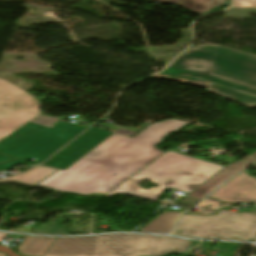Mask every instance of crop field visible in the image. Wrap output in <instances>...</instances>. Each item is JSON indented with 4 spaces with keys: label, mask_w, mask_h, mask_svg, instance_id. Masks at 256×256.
<instances>
[{
    "label": "crop field",
    "mask_w": 256,
    "mask_h": 256,
    "mask_svg": "<svg viewBox=\"0 0 256 256\" xmlns=\"http://www.w3.org/2000/svg\"><path fill=\"white\" fill-rule=\"evenodd\" d=\"M186 124L179 120L154 123L132 139L114 133L77 163L38 185L84 195L107 194L164 154L154 146Z\"/></svg>",
    "instance_id": "1"
},
{
    "label": "crop field",
    "mask_w": 256,
    "mask_h": 256,
    "mask_svg": "<svg viewBox=\"0 0 256 256\" xmlns=\"http://www.w3.org/2000/svg\"><path fill=\"white\" fill-rule=\"evenodd\" d=\"M222 168L224 167L168 151L106 196L124 193L156 201L168 187L189 193ZM143 179H150L153 184L160 186L146 191L137 186Z\"/></svg>",
    "instance_id": "2"
},
{
    "label": "crop field",
    "mask_w": 256,
    "mask_h": 256,
    "mask_svg": "<svg viewBox=\"0 0 256 256\" xmlns=\"http://www.w3.org/2000/svg\"><path fill=\"white\" fill-rule=\"evenodd\" d=\"M191 241L170 237L114 234L57 238L43 256H162L186 253Z\"/></svg>",
    "instance_id": "3"
},
{
    "label": "crop field",
    "mask_w": 256,
    "mask_h": 256,
    "mask_svg": "<svg viewBox=\"0 0 256 256\" xmlns=\"http://www.w3.org/2000/svg\"><path fill=\"white\" fill-rule=\"evenodd\" d=\"M212 74L256 87V56L219 47ZM208 91L247 107H256V89L215 76L210 77Z\"/></svg>",
    "instance_id": "4"
},
{
    "label": "crop field",
    "mask_w": 256,
    "mask_h": 256,
    "mask_svg": "<svg viewBox=\"0 0 256 256\" xmlns=\"http://www.w3.org/2000/svg\"><path fill=\"white\" fill-rule=\"evenodd\" d=\"M84 129L63 122L49 129L29 122L0 141V152L40 163ZM18 134L20 136L14 138Z\"/></svg>",
    "instance_id": "5"
},
{
    "label": "crop field",
    "mask_w": 256,
    "mask_h": 256,
    "mask_svg": "<svg viewBox=\"0 0 256 256\" xmlns=\"http://www.w3.org/2000/svg\"><path fill=\"white\" fill-rule=\"evenodd\" d=\"M171 234L208 239L256 240V215L224 210L209 217L182 215Z\"/></svg>",
    "instance_id": "6"
},
{
    "label": "crop field",
    "mask_w": 256,
    "mask_h": 256,
    "mask_svg": "<svg viewBox=\"0 0 256 256\" xmlns=\"http://www.w3.org/2000/svg\"><path fill=\"white\" fill-rule=\"evenodd\" d=\"M39 104L23 89L0 79V140L38 116Z\"/></svg>",
    "instance_id": "7"
},
{
    "label": "crop field",
    "mask_w": 256,
    "mask_h": 256,
    "mask_svg": "<svg viewBox=\"0 0 256 256\" xmlns=\"http://www.w3.org/2000/svg\"><path fill=\"white\" fill-rule=\"evenodd\" d=\"M217 46H203L177 57L172 65L155 75L166 79L185 80L206 88L214 63Z\"/></svg>",
    "instance_id": "8"
},
{
    "label": "crop field",
    "mask_w": 256,
    "mask_h": 256,
    "mask_svg": "<svg viewBox=\"0 0 256 256\" xmlns=\"http://www.w3.org/2000/svg\"><path fill=\"white\" fill-rule=\"evenodd\" d=\"M111 134H113V132L93 127L82 134L64 150L56 154L54 158L44 165L58 167L65 170L108 138Z\"/></svg>",
    "instance_id": "9"
},
{
    "label": "crop field",
    "mask_w": 256,
    "mask_h": 256,
    "mask_svg": "<svg viewBox=\"0 0 256 256\" xmlns=\"http://www.w3.org/2000/svg\"><path fill=\"white\" fill-rule=\"evenodd\" d=\"M209 198L232 205L241 202L253 204L256 202V178L247 176L245 171L232 178Z\"/></svg>",
    "instance_id": "10"
},
{
    "label": "crop field",
    "mask_w": 256,
    "mask_h": 256,
    "mask_svg": "<svg viewBox=\"0 0 256 256\" xmlns=\"http://www.w3.org/2000/svg\"><path fill=\"white\" fill-rule=\"evenodd\" d=\"M248 165L249 163L239 161L225 167L208 181H206L204 184H202L200 187H198L196 190L189 193L187 196L202 200L209 192H211L213 189L218 187L220 184L225 182L231 176L244 169Z\"/></svg>",
    "instance_id": "11"
},
{
    "label": "crop field",
    "mask_w": 256,
    "mask_h": 256,
    "mask_svg": "<svg viewBox=\"0 0 256 256\" xmlns=\"http://www.w3.org/2000/svg\"><path fill=\"white\" fill-rule=\"evenodd\" d=\"M56 169L47 168L43 166L39 167H33L28 172H25L20 175L13 176L11 178H3L0 179L1 183L6 182H15V183H24V184H30V185H37L53 173H55Z\"/></svg>",
    "instance_id": "12"
},
{
    "label": "crop field",
    "mask_w": 256,
    "mask_h": 256,
    "mask_svg": "<svg viewBox=\"0 0 256 256\" xmlns=\"http://www.w3.org/2000/svg\"><path fill=\"white\" fill-rule=\"evenodd\" d=\"M55 239L56 238L25 236L17 250L24 256H42Z\"/></svg>",
    "instance_id": "13"
},
{
    "label": "crop field",
    "mask_w": 256,
    "mask_h": 256,
    "mask_svg": "<svg viewBox=\"0 0 256 256\" xmlns=\"http://www.w3.org/2000/svg\"><path fill=\"white\" fill-rule=\"evenodd\" d=\"M179 215L180 213L165 211L147 224L144 228H142L139 232L168 233Z\"/></svg>",
    "instance_id": "14"
},
{
    "label": "crop field",
    "mask_w": 256,
    "mask_h": 256,
    "mask_svg": "<svg viewBox=\"0 0 256 256\" xmlns=\"http://www.w3.org/2000/svg\"><path fill=\"white\" fill-rule=\"evenodd\" d=\"M223 3H226V0H181L179 5L197 13H203Z\"/></svg>",
    "instance_id": "15"
},
{
    "label": "crop field",
    "mask_w": 256,
    "mask_h": 256,
    "mask_svg": "<svg viewBox=\"0 0 256 256\" xmlns=\"http://www.w3.org/2000/svg\"><path fill=\"white\" fill-rule=\"evenodd\" d=\"M239 244L218 242L215 249L224 251L221 256H234Z\"/></svg>",
    "instance_id": "16"
},
{
    "label": "crop field",
    "mask_w": 256,
    "mask_h": 256,
    "mask_svg": "<svg viewBox=\"0 0 256 256\" xmlns=\"http://www.w3.org/2000/svg\"><path fill=\"white\" fill-rule=\"evenodd\" d=\"M256 6V0H234L232 7H251Z\"/></svg>",
    "instance_id": "17"
},
{
    "label": "crop field",
    "mask_w": 256,
    "mask_h": 256,
    "mask_svg": "<svg viewBox=\"0 0 256 256\" xmlns=\"http://www.w3.org/2000/svg\"><path fill=\"white\" fill-rule=\"evenodd\" d=\"M23 163H24L23 160H19V161H16V162L1 164V165H0V170H6V169H9V168L12 167V166L19 165V164H23Z\"/></svg>",
    "instance_id": "18"
},
{
    "label": "crop field",
    "mask_w": 256,
    "mask_h": 256,
    "mask_svg": "<svg viewBox=\"0 0 256 256\" xmlns=\"http://www.w3.org/2000/svg\"><path fill=\"white\" fill-rule=\"evenodd\" d=\"M47 224H43L37 228L34 229V233H43V234H47Z\"/></svg>",
    "instance_id": "19"
},
{
    "label": "crop field",
    "mask_w": 256,
    "mask_h": 256,
    "mask_svg": "<svg viewBox=\"0 0 256 256\" xmlns=\"http://www.w3.org/2000/svg\"><path fill=\"white\" fill-rule=\"evenodd\" d=\"M213 245L211 242H202L200 247L201 249H212Z\"/></svg>",
    "instance_id": "20"
},
{
    "label": "crop field",
    "mask_w": 256,
    "mask_h": 256,
    "mask_svg": "<svg viewBox=\"0 0 256 256\" xmlns=\"http://www.w3.org/2000/svg\"><path fill=\"white\" fill-rule=\"evenodd\" d=\"M9 160H14V158L4 156V155H0V162L9 161Z\"/></svg>",
    "instance_id": "21"
},
{
    "label": "crop field",
    "mask_w": 256,
    "mask_h": 256,
    "mask_svg": "<svg viewBox=\"0 0 256 256\" xmlns=\"http://www.w3.org/2000/svg\"><path fill=\"white\" fill-rule=\"evenodd\" d=\"M6 234H0V243H2V241L4 240Z\"/></svg>",
    "instance_id": "22"
},
{
    "label": "crop field",
    "mask_w": 256,
    "mask_h": 256,
    "mask_svg": "<svg viewBox=\"0 0 256 256\" xmlns=\"http://www.w3.org/2000/svg\"><path fill=\"white\" fill-rule=\"evenodd\" d=\"M180 0H171V3L179 4Z\"/></svg>",
    "instance_id": "23"
},
{
    "label": "crop field",
    "mask_w": 256,
    "mask_h": 256,
    "mask_svg": "<svg viewBox=\"0 0 256 256\" xmlns=\"http://www.w3.org/2000/svg\"><path fill=\"white\" fill-rule=\"evenodd\" d=\"M197 244H198V242L193 241L190 247H194V246H196Z\"/></svg>",
    "instance_id": "24"
},
{
    "label": "crop field",
    "mask_w": 256,
    "mask_h": 256,
    "mask_svg": "<svg viewBox=\"0 0 256 256\" xmlns=\"http://www.w3.org/2000/svg\"><path fill=\"white\" fill-rule=\"evenodd\" d=\"M153 1H160V2H167V3H170V0H153Z\"/></svg>",
    "instance_id": "25"
},
{
    "label": "crop field",
    "mask_w": 256,
    "mask_h": 256,
    "mask_svg": "<svg viewBox=\"0 0 256 256\" xmlns=\"http://www.w3.org/2000/svg\"><path fill=\"white\" fill-rule=\"evenodd\" d=\"M0 256H5V255H3V254H0Z\"/></svg>",
    "instance_id": "26"
},
{
    "label": "crop field",
    "mask_w": 256,
    "mask_h": 256,
    "mask_svg": "<svg viewBox=\"0 0 256 256\" xmlns=\"http://www.w3.org/2000/svg\"><path fill=\"white\" fill-rule=\"evenodd\" d=\"M27 186H30V185H27ZM31 187H33V186H31Z\"/></svg>",
    "instance_id": "27"
}]
</instances>
